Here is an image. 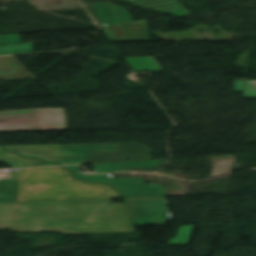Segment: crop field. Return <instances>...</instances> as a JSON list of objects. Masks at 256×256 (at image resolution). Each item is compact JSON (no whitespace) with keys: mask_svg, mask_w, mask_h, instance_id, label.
Returning a JSON list of instances; mask_svg holds the SVG:
<instances>
[{"mask_svg":"<svg viewBox=\"0 0 256 256\" xmlns=\"http://www.w3.org/2000/svg\"><path fill=\"white\" fill-rule=\"evenodd\" d=\"M244 81H236L234 92H243Z\"/></svg>","mask_w":256,"mask_h":256,"instance_id":"crop-field-15","label":"crop field"},{"mask_svg":"<svg viewBox=\"0 0 256 256\" xmlns=\"http://www.w3.org/2000/svg\"><path fill=\"white\" fill-rule=\"evenodd\" d=\"M119 2L151 9L178 18L190 15L176 0H120Z\"/></svg>","mask_w":256,"mask_h":256,"instance_id":"crop-field-7","label":"crop field"},{"mask_svg":"<svg viewBox=\"0 0 256 256\" xmlns=\"http://www.w3.org/2000/svg\"><path fill=\"white\" fill-rule=\"evenodd\" d=\"M67 130L63 109L0 112V132Z\"/></svg>","mask_w":256,"mask_h":256,"instance_id":"crop-field-4","label":"crop field"},{"mask_svg":"<svg viewBox=\"0 0 256 256\" xmlns=\"http://www.w3.org/2000/svg\"><path fill=\"white\" fill-rule=\"evenodd\" d=\"M243 97L256 98V81H245Z\"/></svg>","mask_w":256,"mask_h":256,"instance_id":"crop-field-13","label":"crop field"},{"mask_svg":"<svg viewBox=\"0 0 256 256\" xmlns=\"http://www.w3.org/2000/svg\"><path fill=\"white\" fill-rule=\"evenodd\" d=\"M32 77L13 58L0 57V80Z\"/></svg>","mask_w":256,"mask_h":256,"instance_id":"crop-field-8","label":"crop field"},{"mask_svg":"<svg viewBox=\"0 0 256 256\" xmlns=\"http://www.w3.org/2000/svg\"><path fill=\"white\" fill-rule=\"evenodd\" d=\"M193 226H180L177 237L171 239L168 244H188Z\"/></svg>","mask_w":256,"mask_h":256,"instance_id":"crop-field-12","label":"crop field"},{"mask_svg":"<svg viewBox=\"0 0 256 256\" xmlns=\"http://www.w3.org/2000/svg\"><path fill=\"white\" fill-rule=\"evenodd\" d=\"M2 161L7 162L12 167H40V166H51L54 165L49 162L37 161L33 159H25L16 154H10L2 159Z\"/></svg>","mask_w":256,"mask_h":256,"instance_id":"crop-field-10","label":"crop field"},{"mask_svg":"<svg viewBox=\"0 0 256 256\" xmlns=\"http://www.w3.org/2000/svg\"><path fill=\"white\" fill-rule=\"evenodd\" d=\"M121 197L108 186L73 180L60 167L19 169L0 179V202Z\"/></svg>","mask_w":256,"mask_h":256,"instance_id":"crop-field-2","label":"crop field"},{"mask_svg":"<svg viewBox=\"0 0 256 256\" xmlns=\"http://www.w3.org/2000/svg\"><path fill=\"white\" fill-rule=\"evenodd\" d=\"M63 234L135 232L123 203L110 199L0 203V229Z\"/></svg>","mask_w":256,"mask_h":256,"instance_id":"crop-field-1","label":"crop field"},{"mask_svg":"<svg viewBox=\"0 0 256 256\" xmlns=\"http://www.w3.org/2000/svg\"><path fill=\"white\" fill-rule=\"evenodd\" d=\"M29 52H33L31 44H21V45L0 47V55L29 53Z\"/></svg>","mask_w":256,"mask_h":256,"instance_id":"crop-field-11","label":"crop field"},{"mask_svg":"<svg viewBox=\"0 0 256 256\" xmlns=\"http://www.w3.org/2000/svg\"><path fill=\"white\" fill-rule=\"evenodd\" d=\"M124 199L135 225H165L171 220L165 197Z\"/></svg>","mask_w":256,"mask_h":256,"instance_id":"crop-field-6","label":"crop field"},{"mask_svg":"<svg viewBox=\"0 0 256 256\" xmlns=\"http://www.w3.org/2000/svg\"><path fill=\"white\" fill-rule=\"evenodd\" d=\"M22 156L51 161L57 165L81 164L91 152L115 151V144L3 146Z\"/></svg>","mask_w":256,"mask_h":256,"instance_id":"crop-field-3","label":"crop field"},{"mask_svg":"<svg viewBox=\"0 0 256 256\" xmlns=\"http://www.w3.org/2000/svg\"><path fill=\"white\" fill-rule=\"evenodd\" d=\"M10 153H12V152H10V151L0 147V158L4 157V156H6V155H8Z\"/></svg>","mask_w":256,"mask_h":256,"instance_id":"crop-field-16","label":"crop field"},{"mask_svg":"<svg viewBox=\"0 0 256 256\" xmlns=\"http://www.w3.org/2000/svg\"><path fill=\"white\" fill-rule=\"evenodd\" d=\"M96 173L124 171L129 167L160 166L159 160L92 164Z\"/></svg>","mask_w":256,"mask_h":256,"instance_id":"crop-field-9","label":"crop field"},{"mask_svg":"<svg viewBox=\"0 0 256 256\" xmlns=\"http://www.w3.org/2000/svg\"><path fill=\"white\" fill-rule=\"evenodd\" d=\"M19 35L0 36V45L20 44Z\"/></svg>","mask_w":256,"mask_h":256,"instance_id":"crop-field-14","label":"crop field"},{"mask_svg":"<svg viewBox=\"0 0 256 256\" xmlns=\"http://www.w3.org/2000/svg\"><path fill=\"white\" fill-rule=\"evenodd\" d=\"M71 170L74 179L105 184L120 191L123 197L166 196L161 184H145L142 178L112 179L111 175H89L79 172L80 166L64 167Z\"/></svg>","mask_w":256,"mask_h":256,"instance_id":"crop-field-5","label":"crop field"}]
</instances>
